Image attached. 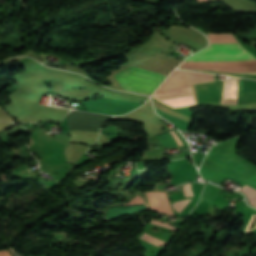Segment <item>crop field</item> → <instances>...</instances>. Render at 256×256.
<instances>
[{"instance_id":"7","label":"crop field","mask_w":256,"mask_h":256,"mask_svg":"<svg viewBox=\"0 0 256 256\" xmlns=\"http://www.w3.org/2000/svg\"><path fill=\"white\" fill-rule=\"evenodd\" d=\"M191 199H186V200H183V201H176V202H173L172 205H173V208H175V210L177 211H181L187 204L188 202L190 201Z\"/></svg>"},{"instance_id":"9","label":"crop field","mask_w":256,"mask_h":256,"mask_svg":"<svg viewBox=\"0 0 256 256\" xmlns=\"http://www.w3.org/2000/svg\"><path fill=\"white\" fill-rule=\"evenodd\" d=\"M170 134L173 137L174 141L176 142L177 146H181L182 143L179 140L178 136L176 135L175 131H170Z\"/></svg>"},{"instance_id":"5","label":"crop field","mask_w":256,"mask_h":256,"mask_svg":"<svg viewBox=\"0 0 256 256\" xmlns=\"http://www.w3.org/2000/svg\"><path fill=\"white\" fill-rule=\"evenodd\" d=\"M154 209L163 213L174 215L164 192L147 193Z\"/></svg>"},{"instance_id":"10","label":"crop field","mask_w":256,"mask_h":256,"mask_svg":"<svg viewBox=\"0 0 256 256\" xmlns=\"http://www.w3.org/2000/svg\"><path fill=\"white\" fill-rule=\"evenodd\" d=\"M0 256H11L8 250L0 251Z\"/></svg>"},{"instance_id":"1","label":"crop field","mask_w":256,"mask_h":256,"mask_svg":"<svg viewBox=\"0 0 256 256\" xmlns=\"http://www.w3.org/2000/svg\"><path fill=\"white\" fill-rule=\"evenodd\" d=\"M209 46L186 59L179 67L186 69L256 74V57L231 34H208Z\"/></svg>"},{"instance_id":"2","label":"crop field","mask_w":256,"mask_h":256,"mask_svg":"<svg viewBox=\"0 0 256 256\" xmlns=\"http://www.w3.org/2000/svg\"><path fill=\"white\" fill-rule=\"evenodd\" d=\"M115 77L125 91L144 94H151L165 78L135 68L121 71Z\"/></svg>"},{"instance_id":"6","label":"crop field","mask_w":256,"mask_h":256,"mask_svg":"<svg viewBox=\"0 0 256 256\" xmlns=\"http://www.w3.org/2000/svg\"><path fill=\"white\" fill-rule=\"evenodd\" d=\"M241 190H243V191H245V192H247V193H249V194H251V195L256 197V190L251 188V187H249V186H247V185L242 187ZM244 194L247 196V198L249 200V203L256 207V198H254V197H252V196H250V195H248L246 193H244Z\"/></svg>"},{"instance_id":"3","label":"crop field","mask_w":256,"mask_h":256,"mask_svg":"<svg viewBox=\"0 0 256 256\" xmlns=\"http://www.w3.org/2000/svg\"><path fill=\"white\" fill-rule=\"evenodd\" d=\"M81 104L84 107H86L90 112L104 113V114H111V115L123 114L141 105L140 103H136V102H126V101H120V100H117V101L91 100V101L81 102Z\"/></svg>"},{"instance_id":"8","label":"crop field","mask_w":256,"mask_h":256,"mask_svg":"<svg viewBox=\"0 0 256 256\" xmlns=\"http://www.w3.org/2000/svg\"><path fill=\"white\" fill-rule=\"evenodd\" d=\"M184 196H193L190 183L183 186Z\"/></svg>"},{"instance_id":"4","label":"crop field","mask_w":256,"mask_h":256,"mask_svg":"<svg viewBox=\"0 0 256 256\" xmlns=\"http://www.w3.org/2000/svg\"><path fill=\"white\" fill-rule=\"evenodd\" d=\"M213 78L212 75L185 71V70H175L164 82L163 85H170L176 83H183V82H190V81H197L203 79H210Z\"/></svg>"}]
</instances>
